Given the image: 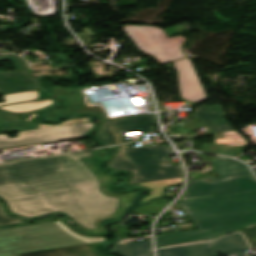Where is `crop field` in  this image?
Segmentation results:
<instances>
[{"mask_svg": "<svg viewBox=\"0 0 256 256\" xmlns=\"http://www.w3.org/2000/svg\"><path fill=\"white\" fill-rule=\"evenodd\" d=\"M91 169V168H90ZM95 172L94 169H91ZM98 180H99V184H100V191L102 193H104L105 195L107 196H110V197H119V201H120V204H119V207L117 209V211L112 214L111 216H120L121 213L123 212V210L128 207L129 205V202H130V197H129V194H125V195H120V196H111L109 194H107L105 191H104V188L111 182V181H114L115 180V177L113 176H109V175H105V174H102V175H98L96 172H95Z\"/></svg>", "mask_w": 256, "mask_h": 256, "instance_id": "obj_15", "label": "crop field"}, {"mask_svg": "<svg viewBox=\"0 0 256 256\" xmlns=\"http://www.w3.org/2000/svg\"><path fill=\"white\" fill-rule=\"evenodd\" d=\"M63 231L55 222L0 229V256L85 244Z\"/></svg>", "mask_w": 256, "mask_h": 256, "instance_id": "obj_4", "label": "crop field"}, {"mask_svg": "<svg viewBox=\"0 0 256 256\" xmlns=\"http://www.w3.org/2000/svg\"><path fill=\"white\" fill-rule=\"evenodd\" d=\"M52 104H54V101L52 99H48V100L33 102V103L3 106L0 108H3L5 110L11 111V112L21 113V112L42 109V108L48 107Z\"/></svg>", "mask_w": 256, "mask_h": 256, "instance_id": "obj_16", "label": "crop field"}, {"mask_svg": "<svg viewBox=\"0 0 256 256\" xmlns=\"http://www.w3.org/2000/svg\"><path fill=\"white\" fill-rule=\"evenodd\" d=\"M110 253L122 256H152L150 240L120 244L113 247Z\"/></svg>", "mask_w": 256, "mask_h": 256, "instance_id": "obj_13", "label": "crop field"}, {"mask_svg": "<svg viewBox=\"0 0 256 256\" xmlns=\"http://www.w3.org/2000/svg\"><path fill=\"white\" fill-rule=\"evenodd\" d=\"M183 178H176V179H168V180H160V181H152V182H145V183H137L139 185H144L146 187H150L151 191L148 196H146L142 201H148L150 199H154L158 196H161L163 192V187L181 184L183 183Z\"/></svg>", "mask_w": 256, "mask_h": 256, "instance_id": "obj_14", "label": "crop field"}, {"mask_svg": "<svg viewBox=\"0 0 256 256\" xmlns=\"http://www.w3.org/2000/svg\"><path fill=\"white\" fill-rule=\"evenodd\" d=\"M90 152L0 164V196L12 212L34 217L63 211L88 229L116 211L118 198L100 193L93 171L78 159Z\"/></svg>", "mask_w": 256, "mask_h": 256, "instance_id": "obj_1", "label": "crop field"}, {"mask_svg": "<svg viewBox=\"0 0 256 256\" xmlns=\"http://www.w3.org/2000/svg\"><path fill=\"white\" fill-rule=\"evenodd\" d=\"M245 250H248V247L242 235L234 234L211 242L163 249L157 253L158 256H217L216 252H220V254L246 256Z\"/></svg>", "mask_w": 256, "mask_h": 256, "instance_id": "obj_7", "label": "crop field"}, {"mask_svg": "<svg viewBox=\"0 0 256 256\" xmlns=\"http://www.w3.org/2000/svg\"><path fill=\"white\" fill-rule=\"evenodd\" d=\"M21 221L15 218H12L5 214V211L0 203V225L16 224Z\"/></svg>", "mask_w": 256, "mask_h": 256, "instance_id": "obj_22", "label": "crop field"}, {"mask_svg": "<svg viewBox=\"0 0 256 256\" xmlns=\"http://www.w3.org/2000/svg\"><path fill=\"white\" fill-rule=\"evenodd\" d=\"M133 144L135 142L118 146L115 157L108 164L115 170L132 171L133 180L129 184L184 176L180 164L165 166L169 163L165 158L172 156L168 145L136 148Z\"/></svg>", "mask_w": 256, "mask_h": 256, "instance_id": "obj_3", "label": "crop field"}, {"mask_svg": "<svg viewBox=\"0 0 256 256\" xmlns=\"http://www.w3.org/2000/svg\"><path fill=\"white\" fill-rule=\"evenodd\" d=\"M0 60L14 61L17 67L15 72H0V94L37 89L38 83L27 74L28 66L26 61L15 55H2Z\"/></svg>", "mask_w": 256, "mask_h": 256, "instance_id": "obj_9", "label": "crop field"}, {"mask_svg": "<svg viewBox=\"0 0 256 256\" xmlns=\"http://www.w3.org/2000/svg\"><path fill=\"white\" fill-rule=\"evenodd\" d=\"M2 111V110H1ZM5 112V111H4ZM6 113H8V112H6ZM10 114V113H9ZM11 115H13V114H11ZM14 117H16L15 115H13ZM36 116V114H34V115H32V116H30L27 120H25V121H21V120H19L17 117V119H18V121H21V122H27V123H30L29 122V120L30 119H32L33 117H35ZM91 119H88V118H80V119H76V120H71V121H67V122H64V123H62V124H60V125H56V126H61V125H66V124H74V123H82V122H87V121H90ZM42 126H47V127H50V126H48V125H42Z\"/></svg>", "mask_w": 256, "mask_h": 256, "instance_id": "obj_25", "label": "crop field"}, {"mask_svg": "<svg viewBox=\"0 0 256 256\" xmlns=\"http://www.w3.org/2000/svg\"><path fill=\"white\" fill-rule=\"evenodd\" d=\"M63 230L89 242V243H92V242H99V241H107L106 239L102 238V237H94V238H89V237H83V236H80L79 234L71 231L66 225L62 224L61 222H56Z\"/></svg>", "mask_w": 256, "mask_h": 256, "instance_id": "obj_20", "label": "crop field"}, {"mask_svg": "<svg viewBox=\"0 0 256 256\" xmlns=\"http://www.w3.org/2000/svg\"><path fill=\"white\" fill-rule=\"evenodd\" d=\"M125 33L136 44L139 50L155 56L162 64L184 57L181 44L182 36L167 39L163 30L146 26H124Z\"/></svg>", "mask_w": 256, "mask_h": 256, "instance_id": "obj_5", "label": "crop field"}, {"mask_svg": "<svg viewBox=\"0 0 256 256\" xmlns=\"http://www.w3.org/2000/svg\"><path fill=\"white\" fill-rule=\"evenodd\" d=\"M208 241V240H207ZM201 242H204V241H201ZM194 243H197V242H194ZM187 244H189V243H187ZM180 245H182V244H180ZM173 246H175V245H173Z\"/></svg>", "mask_w": 256, "mask_h": 256, "instance_id": "obj_28", "label": "crop field"}, {"mask_svg": "<svg viewBox=\"0 0 256 256\" xmlns=\"http://www.w3.org/2000/svg\"><path fill=\"white\" fill-rule=\"evenodd\" d=\"M175 69L178 70V77L180 82L181 97L190 101L198 102L201 101L191 76L190 70L188 68L186 60L174 62Z\"/></svg>", "mask_w": 256, "mask_h": 256, "instance_id": "obj_11", "label": "crop field"}, {"mask_svg": "<svg viewBox=\"0 0 256 256\" xmlns=\"http://www.w3.org/2000/svg\"><path fill=\"white\" fill-rule=\"evenodd\" d=\"M19 256H96L89 244L47 251L21 254Z\"/></svg>", "mask_w": 256, "mask_h": 256, "instance_id": "obj_12", "label": "crop field"}, {"mask_svg": "<svg viewBox=\"0 0 256 256\" xmlns=\"http://www.w3.org/2000/svg\"><path fill=\"white\" fill-rule=\"evenodd\" d=\"M84 89V88H82ZM82 89H78V90H63L61 88H55V93L57 94H61V93H67V92H73V91H79V90H82Z\"/></svg>", "mask_w": 256, "mask_h": 256, "instance_id": "obj_26", "label": "crop field"}, {"mask_svg": "<svg viewBox=\"0 0 256 256\" xmlns=\"http://www.w3.org/2000/svg\"><path fill=\"white\" fill-rule=\"evenodd\" d=\"M98 244H108V242H99V243H93V244H90V246L92 247V249L94 250L95 247L98 245ZM97 256H100L98 254H96Z\"/></svg>", "mask_w": 256, "mask_h": 256, "instance_id": "obj_27", "label": "crop field"}, {"mask_svg": "<svg viewBox=\"0 0 256 256\" xmlns=\"http://www.w3.org/2000/svg\"><path fill=\"white\" fill-rule=\"evenodd\" d=\"M157 201V200H156ZM170 201L168 200H160L157 202H153L151 204L136 208L133 213L139 214H157L163 208H165Z\"/></svg>", "mask_w": 256, "mask_h": 256, "instance_id": "obj_18", "label": "crop field"}, {"mask_svg": "<svg viewBox=\"0 0 256 256\" xmlns=\"http://www.w3.org/2000/svg\"><path fill=\"white\" fill-rule=\"evenodd\" d=\"M186 60H187V62H188L189 68H190L191 73H192V76H193V78H194V81H195V84H196V87H197L198 94H199L201 100H204L205 97H204L203 90H202V87H201V85H200L199 79H198V77H197V75H196V73H195V71H194V69H193L191 63L189 62V60H188V59H186Z\"/></svg>", "mask_w": 256, "mask_h": 256, "instance_id": "obj_24", "label": "crop field"}, {"mask_svg": "<svg viewBox=\"0 0 256 256\" xmlns=\"http://www.w3.org/2000/svg\"><path fill=\"white\" fill-rule=\"evenodd\" d=\"M154 115H140L128 118L115 119L103 122L102 128L97 132L96 138L105 146L126 143L123 132L138 130L139 133L153 132L152 125H155Z\"/></svg>", "mask_w": 256, "mask_h": 256, "instance_id": "obj_8", "label": "crop field"}, {"mask_svg": "<svg viewBox=\"0 0 256 256\" xmlns=\"http://www.w3.org/2000/svg\"><path fill=\"white\" fill-rule=\"evenodd\" d=\"M193 113L213 133L234 130L231 124L225 119L226 114L220 105L196 108Z\"/></svg>", "mask_w": 256, "mask_h": 256, "instance_id": "obj_10", "label": "crop field"}, {"mask_svg": "<svg viewBox=\"0 0 256 256\" xmlns=\"http://www.w3.org/2000/svg\"><path fill=\"white\" fill-rule=\"evenodd\" d=\"M80 111L96 112V113H99V114H101V115H103L104 117L107 118V116L104 114V112L102 111L100 106L87 107V105L79 106V107H75V108H66V109L51 111V115L53 117H55V116H58L60 114H64V113H68V112H80Z\"/></svg>", "mask_w": 256, "mask_h": 256, "instance_id": "obj_19", "label": "crop field"}, {"mask_svg": "<svg viewBox=\"0 0 256 256\" xmlns=\"http://www.w3.org/2000/svg\"><path fill=\"white\" fill-rule=\"evenodd\" d=\"M93 127V123L50 127L46 129L20 132L15 138H8L3 134L0 135V148L80 138L90 132Z\"/></svg>", "mask_w": 256, "mask_h": 256, "instance_id": "obj_6", "label": "crop field"}, {"mask_svg": "<svg viewBox=\"0 0 256 256\" xmlns=\"http://www.w3.org/2000/svg\"><path fill=\"white\" fill-rule=\"evenodd\" d=\"M212 160L220 176L191 180L179 199L199 230L156 236L157 247L219 238L256 223V178L235 159Z\"/></svg>", "mask_w": 256, "mask_h": 256, "instance_id": "obj_2", "label": "crop field"}, {"mask_svg": "<svg viewBox=\"0 0 256 256\" xmlns=\"http://www.w3.org/2000/svg\"><path fill=\"white\" fill-rule=\"evenodd\" d=\"M245 234L251 247H256V226L239 231Z\"/></svg>", "mask_w": 256, "mask_h": 256, "instance_id": "obj_21", "label": "crop field"}, {"mask_svg": "<svg viewBox=\"0 0 256 256\" xmlns=\"http://www.w3.org/2000/svg\"><path fill=\"white\" fill-rule=\"evenodd\" d=\"M70 106L73 105H83L85 104L84 98L82 96V93H76L72 95L65 96Z\"/></svg>", "mask_w": 256, "mask_h": 256, "instance_id": "obj_23", "label": "crop field"}, {"mask_svg": "<svg viewBox=\"0 0 256 256\" xmlns=\"http://www.w3.org/2000/svg\"><path fill=\"white\" fill-rule=\"evenodd\" d=\"M3 96H4L5 102L0 103V105L38 99V90L22 92V93L6 94Z\"/></svg>", "mask_w": 256, "mask_h": 256, "instance_id": "obj_17", "label": "crop field"}]
</instances>
